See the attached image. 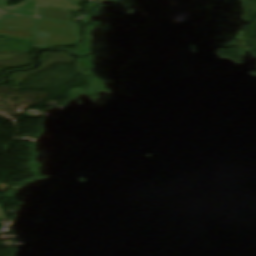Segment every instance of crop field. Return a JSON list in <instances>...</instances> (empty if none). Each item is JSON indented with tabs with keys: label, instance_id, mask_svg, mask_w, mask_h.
Returning a JSON list of instances; mask_svg holds the SVG:
<instances>
[{
	"label": "crop field",
	"instance_id": "crop-field-2",
	"mask_svg": "<svg viewBox=\"0 0 256 256\" xmlns=\"http://www.w3.org/2000/svg\"><path fill=\"white\" fill-rule=\"evenodd\" d=\"M5 14H3V13H0V18L2 17V16H4Z\"/></svg>",
	"mask_w": 256,
	"mask_h": 256
},
{
	"label": "crop field",
	"instance_id": "crop-field-1",
	"mask_svg": "<svg viewBox=\"0 0 256 256\" xmlns=\"http://www.w3.org/2000/svg\"><path fill=\"white\" fill-rule=\"evenodd\" d=\"M0 37L33 41L31 49L67 47L81 40L79 24L11 15L0 19Z\"/></svg>",
	"mask_w": 256,
	"mask_h": 256
}]
</instances>
